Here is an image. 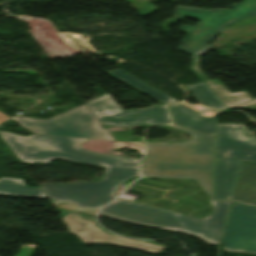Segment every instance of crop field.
<instances>
[{
	"mask_svg": "<svg viewBox=\"0 0 256 256\" xmlns=\"http://www.w3.org/2000/svg\"><path fill=\"white\" fill-rule=\"evenodd\" d=\"M191 134V133H190ZM191 136H192V134H191ZM193 140V137H192V139L190 140V141H192ZM189 141V142H190ZM147 144H158V143H147ZM175 145H177V144H175Z\"/></svg>",
	"mask_w": 256,
	"mask_h": 256,
	"instance_id": "18",
	"label": "crop field"
},
{
	"mask_svg": "<svg viewBox=\"0 0 256 256\" xmlns=\"http://www.w3.org/2000/svg\"><path fill=\"white\" fill-rule=\"evenodd\" d=\"M12 120L37 134L112 140L86 105L76 107L50 120L16 115Z\"/></svg>",
	"mask_w": 256,
	"mask_h": 256,
	"instance_id": "5",
	"label": "crop field"
},
{
	"mask_svg": "<svg viewBox=\"0 0 256 256\" xmlns=\"http://www.w3.org/2000/svg\"><path fill=\"white\" fill-rule=\"evenodd\" d=\"M235 107L256 110V99L246 102V103H243V104H240V105H237Z\"/></svg>",
	"mask_w": 256,
	"mask_h": 256,
	"instance_id": "16",
	"label": "crop field"
},
{
	"mask_svg": "<svg viewBox=\"0 0 256 256\" xmlns=\"http://www.w3.org/2000/svg\"><path fill=\"white\" fill-rule=\"evenodd\" d=\"M241 159L256 161V138L244 125L218 124L215 199L230 200Z\"/></svg>",
	"mask_w": 256,
	"mask_h": 256,
	"instance_id": "4",
	"label": "crop field"
},
{
	"mask_svg": "<svg viewBox=\"0 0 256 256\" xmlns=\"http://www.w3.org/2000/svg\"><path fill=\"white\" fill-rule=\"evenodd\" d=\"M223 250L256 254V207L234 204Z\"/></svg>",
	"mask_w": 256,
	"mask_h": 256,
	"instance_id": "7",
	"label": "crop field"
},
{
	"mask_svg": "<svg viewBox=\"0 0 256 256\" xmlns=\"http://www.w3.org/2000/svg\"><path fill=\"white\" fill-rule=\"evenodd\" d=\"M8 118H10V117H8L7 115H5V114H3V113L0 112V123H1L2 121H4V120L8 119Z\"/></svg>",
	"mask_w": 256,
	"mask_h": 256,
	"instance_id": "17",
	"label": "crop field"
},
{
	"mask_svg": "<svg viewBox=\"0 0 256 256\" xmlns=\"http://www.w3.org/2000/svg\"><path fill=\"white\" fill-rule=\"evenodd\" d=\"M232 10H206L178 6L173 19H167L162 27L168 33L170 25L184 20L185 17L200 20L196 27L182 26V32L188 37L178 50L190 54L192 59L208 52L211 45L208 43L225 27L247 16L256 15V0H244L239 5L231 6Z\"/></svg>",
	"mask_w": 256,
	"mask_h": 256,
	"instance_id": "3",
	"label": "crop field"
},
{
	"mask_svg": "<svg viewBox=\"0 0 256 256\" xmlns=\"http://www.w3.org/2000/svg\"><path fill=\"white\" fill-rule=\"evenodd\" d=\"M0 136L14 154L24 163H48L57 158L106 167L101 181L48 184L41 189L48 198L68 201L79 208L98 210L115 198L114 192L125 180L140 176L138 159H122L96 154L76 148L83 138L32 135L22 137L0 131Z\"/></svg>",
	"mask_w": 256,
	"mask_h": 256,
	"instance_id": "2",
	"label": "crop field"
},
{
	"mask_svg": "<svg viewBox=\"0 0 256 256\" xmlns=\"http://www.w3.org/2000/svg\"><path fill=\"white\" fill-rule=\"evenodd\" d=\"M199 60L200 57L194 59L192 69L200 77V79L214 92V94L223 101V103L228 108L252 100V98L245 91L230 94L219 80L210 81L198 68Z\"/></svg>",
	"mask_w": 256,
	"mask_h": 256,
	"instance_id": "11",
	"label": "crop field"
},
{
	"mask_svg": "<svg viewBox=\"0 0 256 256\" xmlns=\"http://www.w3.org/2000/svg\"><path fill=\"white\" fill-rule=\"evenodd\" d=\"M109 74L113 75L114 77L134 86L135 88L141 90L142 92L148 94L149 96L155 98L156 100L167 104V103H172V102H177V100L151 88L147 84L143 83L139 79L131 76L130 74L122 71V70H116V71H106Z\"/></svg>",
	"mask_w": 256,
	"mask_h": 256,
	"instance_id": "13",
	"label": "crop field"
},
{
	"mask_svg": "<svg viewBox=\"0 0 256 256\" xmlns=\"http://www.w3.org/2000/svg\"><path fill=\"white\" fill-rule=\"evenodd\" d=\"M62 221L67 224L70 232L75 233L86 244L92 243H111L120 246L133 247L158 254L163 247H159L150 243L137 240H126L120 237L105 233L94 227V221L81 219L76 215H66L62 217Z\"/></svg>",
	"mask_w": 256,
	"mask_h": 256,
	"instance_id": "8",
	"label": "crop field"
},
{
	"mask_svg": "<svg viewBox=\"0 0 256 256\" xmlns=\"http://www.w3.org/2000/svg\"><path fill=\"white\" fill-rule=\"evenodd\" d=\"M158 9H159V8H156V7H154L153 5L149 4V5H147L146 7H144L143 9H141V10L138 11V12H139V14H140L142 17H144V16H146V15H148V14H150V13H152V12L158 10Z\"/></svg>",
	"mask_w": 256,
	"mask_h": 256,
	"instance_id": "15",
	"label": "crop field"
},
{
	"mask_svg": "<svg viewBox=\"0 0 256 256\" xmlns=\"http://www.w3.org/2000/svg\"><path fill=\"white\" fill-rule=\"evenodd\" d=\"M187 88L203 105L221 111L227 109L222 101L218 97H216L204 83L188 86Z\"/></svg>",
	"mask_w": 256,
	"mask_h": 256,
	"instance_id": "14",
	"label": "crop field"
},
{
	"mask_svg": "<svg viewBox=\"0 0 256 256\" xmlns=\"http://www.w3.org/2000/svg\"><path fill=\"white\" fill-rule=\"evenodd\" d=\"M86 105L96 115L102 125L127 127L143 123L157 125L170 122L164 106L123 112L110 95H102Z\"/></svg>",
	"mask_w": 256,
	"mask_h": 256,
	"instance_id": "6",
	"label": "crop field"
},
{
	"mask_svg": "<svg viewBox=\"0 0 256 256\" xmlns=\"http://www.w3.org/2000/svg\"><path fill=\"white\" fill-rule=\"evenodd\" d=\"M0 194L45 198L40 187H27L22 179L3 177L0 179Z\"/></svg>",
	"mask_w": 256,
	"mask_h": 256,
	"instance_id": "12",
	"label": "crop field"
},
{
	"mask_svg": "<svg viewBox=\"0 0 256 256\" xmlns=\"http://www.w3.org/2000/svg\"><path fill=\"white\" fill-rule=\"evenodd\" d=\"M169 126L191 132L194 140L178 146L147 145V155L142 162L144 176L195 179L209 195L213 212L202 219L188 218L118 199L100 211L110 217L191 234L217 245L229 202L212 201L214 138L173 124Z\"/></svg>",
	"mask_w": 256,
	"mask_h": 256,
	"instance_id": "1",
	"label": "crop field"
},
{
	"mask_svg": "<svg viewBox=\"0 0 256 256\" xmlns=\"http://www.w3.org/2000/svg\"><path fill=\"white\" fill-rule=\"evenodd\" d=\"M176 125L188 127L215 136L218 111L182 103L168 105Z\"/></svg>",
	"mask_w": 256,
	"mask_h": 256,
	"instance_id": "9",
	"label": "crop field"
},
{
	"mask_svg": "<svg viewBox=\"0 0 256 256\" xmlns=\"http://www.w3.org/2000/svg\"><path fill=\"white\" fill-rule=\"evenodd\" d=\"M233 200L256 206V163L243 161Z\"/></svg>",
	"mask_w": 256,
	"mask_h": 256,
	"instance_id": "10",
	"label": "crop field"
}]
</instances>
